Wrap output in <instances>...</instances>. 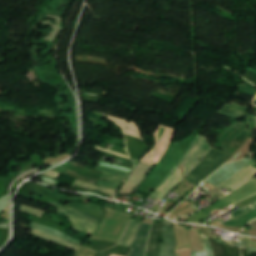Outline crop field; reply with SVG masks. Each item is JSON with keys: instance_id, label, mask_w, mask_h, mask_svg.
Here are the masks:
<instances>
[{"instance_id": "ac0d7876", "label": "crop field", "mask_w": 256, "mask_h": 256, "mask_svg": "<svg viewBox=\"0 0 256 256\" xmlns=\"http://www.w3.org/2000/svg\"><path fill=\"white\" fill-rule=\"evenodd\" d=\"M173 132L174 131H172V128H168L160 125L158 130L155 133L156 143L154 145L152 152L150 154L148 153L142 159L141 162H145L153 165L158 163L171 141Z\"/></svg>"}, {"instance_id": "733c2abd", "label": "crop field", "mask_w": 256, "mask_h": 256, "mask_svg": "<svg viewBox=\"0 0 256 256\" xmlns=\"http://www.w3.org/2000/svg\"><path fill=\"white\" fill-rule=\"evenodd\" d=\"M74 186H78V187H81V188H85V189H88V190H95L97 192H103L105 194H108L110 196H114L116 190L114 189H109V188H104V187H97V186H94V185H91V184H88V183H85V182H81V181H78L76 180V182L74 183Z\"/></svg>"}, {"instance_id": "34b2d1b8", "label": "crop field", "mask_w": 256, "mask_h": 256, "mask_svg": "<svg viewBox=\"0 0 256 256\" xmlns=\"http://www.w3.org/2000/svg\"><path fill=\"white\" fill-rule=\"evenodd\" d=\"M212 149L209 142L205 138L200 137L189 155L182 162L184 166L183 174L187 175L194 167L200 164ZM200 159H202V161H199Z\"/></svg>"}, {"instance_id": "dafd665d", "label": "crop field", "mask_w": 256, "mask_h": 256, "mask_svg": "<svg viewBox=\"0 0 256 256\" xmlns=\"http://www.w3.org/2000/svg\"><path fill=\"white\" fill-rule=\"evenodd\" d=\"M20 210L24 211V212H27V213H30V214H33V215L40 216V217L44 213L43 211L35 210V209L24 207V206H21Z\"/></svg>"}, {"instance_id": "d8731c3e", "label": "crop field", "mask_w": 256, "mask_h": 256, "mask_svg": "<svg viewBox=\"0 0 256 256\" xmlns=\"http://www.w3.org/2000/svg\"><path fill=\"white\" fill-rule=\"evenodd\" d=\"M175 238L173 235L172 224L163 221V245L161 256H174Z\"/></svg>"}, {"instance_id": "730fd06b", "label": "crop field", "mask_w": 256, "mask_h": 256, "mask_svg": "<svg viewBox=\"0 0 256 256\" xmlns=\"http://www.w3.org/2000/svg\"><path fill=\"white\" fill-rule=\"evenodd\" d=\"M199 138V134L196 137V139L194 140L193 144L191 145V147L194 145V143L197 141V139ZM191 147L188 149V151L191 149ZM188 151L184 154V156L182 157L181 161L183 160V158L186 156V154L188 153ZM181 161L174 167V169L169 173V175L159 184V186L176 170V168L179 166V164L181 163ZM158 186V187H159Z\"/></svg>"}, {"instance_id": "eef30255", "label": "crop field", "mask_w": 256, "mask_h": 256, "mask_svg": "<svg viewBox=\"0 0 256 256\" xmlns=\"http://www.w3.org/2000/svg\"><path fill=\"white\" fill-rule=\"evenodd\" d=\"M114 248H115V247H114ZM114 248H112V249H110V250H107V251H105V252H103V253H97L96 256H110Z\"/></svg>"}, {"instance_id": "e52e79f7", "label": "crop field", "mask_w": 256, "mask_h": 256, "mask_svg": "<svg viewBox=\"0 0 256 256\" xmlns=\"http://www.w3.org/2000/svg\"><path fill=\"white\" fill-rule=\"evenodd\" d=\"M162 223H153L145 256H160Z\"/></svg>"}, {"instance_id": "d1516ede", "label": "crop field", "mask_w": 256, "mask_h": 256, "mask_svg": "<svg viewBox=\"0 0 256 256\" xmlns=\"http://www.w3.org/2000/svg\"><path fill=\"white\" fill-rule=\"evenodd\" d=\"M108 117L111 120H114L116 124L121 126L124 129L126 134L136 136V137L142 139L141 132L135 123H133L131 121L129 123H127V121H129V120H125V119H121V118H117V117H113V116H109V115H108ZM125 127H128L131 130H127Z\"/></svg>"}, {"instance_id": "412701ff", "label": "crop field", "mask_w": 256, "mask_h": 256, "mask_svg": "<svg viewBox=\"0 0 256 256\" xmlns=\"http://www.w3.org/2000/svg\"><path fill=\"white\" fill-rule=\"evenodd\" d=\"M250 162L251 160L244 159L242 161L225 164L209 179H207L206 182L217 187L225 180H227L229 177H231L232 175L240 171L242 168H244Z\"/></svg>"}, {"instance_id": "3316defc", "label": "crop field", "mask_w": 256, "mask_h": 256, "mask_svg": "<svg viewBox=\"0 0 256 256\" xmlns=\"http://www.w3.org/2000/svg\"><path fill=\"white\" fill-rule=\"evenodd\" d=\"M58 209V208H57ZM59 212H62L66 214L67 217H69L73 228L78 229L80 231L86 232L91 234V232L94 230V228L97 226V223L90 222L87 220H84L82 218H79L75 215H72L62 209H58Z\"/></svg>"}, {"instance_id": "120bbe31", "label": "crop field", "mask_w": 256, "mask_h": 256, "mask_svg": "<svg viewBox=\"0 0 256 256\" xmlns=\"http://www.w3.org/2000/svg\"><path fill=\"white\" fill-rule=\"evenodd\" d=\"M250 242L256 244L255 242H252V241H250Z\"/></svg>"}, {"instance_id": "d3111659", "label": "crop field", "mask_w": 256, "mask_h": 256, "mask_svg": "<svg viewBox=\"0 0 256 256\" xmlns=\"http://www.w3.org/2000/svg\"><path fill=\"white\" fill-rule=\"evenodd\" d=\"M41 177H43V176H41ZM42 181L46 182V183L53 184V185H55V183H56V181H54V180H52L50 178H47V177H43Z\"/></svg>"}, {"instance_id": "bc2a9ffb", "label": "crop field", "mask_w": 256, "mask_h": 256, "mask_svg": "<svg viewBox=\"0 0 256 256\" xmlns=\"http://www.w3.org/2000/svg\"><path fill=\"white\" fill-rule=\"evenodd\" d=\"M205 251L192 253V256H213V251L210 247L208 238L202 235Z\"/></svg>"}, {"instance_id": "4177f3b9", "label": "crop field", "mask_w": 256, "mask_h": 256, "mask_svg": "<svg viewBox=\"0 0 256 256\" xmlns=\"http://www.w3.org/2000/svg\"><path fill=\"white\" fill-rule=\"evenodd\" d=\"M98 186H105V187H110V188H114V189H117L120 187L119 184H115V183H111V182H107V181H103V180H100V182L98 183Z\"/></svg>"}, {"instance_id": "750c4746", "label": "crop field", "mask_w": 256, "mask_h": 256, "mask_svg": "<svg viewBox=\"0 0 256 256\" xmlns=\"http://www.w3.org/2000/svg\"><path fill=\"white\" fill-rule=\"evenodd\" d=\"M42 175L51 176V177H53V178L56 179L59 174H58V173L51 172V171H48V172H46V173H44V174H42Z\"/></svg>"}, {"instance_id": "f4fd0767", "label": "crop field", "mask_w": 256, "mask_h": 256, "mask_svg": "<svg viewBox=\"0 0 256 256\" xmlns=\"http://www.w3.org/2000/svg\"><path fill=\"white\" fill-rule=\"evenodd\" d=\"M151 220L145 219L128 256H144Z\"/></svg>"}, {"instance_id": "22f410ed", "label": "crop field", "mask_w": 256, "mask_h": 256, "mask_svg": "<svg viewBox=\"0 0 256 256\" xmlns=\"http://www.w3.org/2000/svg\"><path fill=\"white\" fill-rule=\"evenodd\" d=\"M140 225L141 222L131 220L125 234L123 235L118 245L130 246Z\"/></svg>"}, {"instance_id": "cbeb9de0", "label": "crop field", "mask_w": 256, "mask_h": 256, "mask_svg": "<svg viewBox=\"0 0 256 256\" xmlns=\"http://www.w3.org/2000/svg\"><path fill=\"white\" fill-rule=\"evenodd\" d=\"M31 234L34 235V236L40 237L42 239H45V240H48V241H51V242L69 247V248H73V249H76V250H78L80 248V246L74 245L72 243L66 242L64 240L58 239L56 237L50 236L48 234L39 232V231L34 230V229H32Z\"/></svg>"}, {"instance_id": "bd1437ed", "label": "crop field", "mask_w": 256, "mask_h": 256, "mask_svg": "<svg viewBox=\"0 0 256 256\" xmlns=\"http://www.w3.org/2000/svg\"><path fill=\"white\" fill-rule=\"evenodd\" d=\"M246 208H247L249 211L256 209V202L253 203V204H251V205L246 206Z\"/></svg>"}, {"instance_id": "dd49c442", "label": "crop field", "mask_w": 256, "mask_h": 256, "mask_svg": "<svg viewBox=\"0 0 256 256\" xmlns=\"http://www.w3.org/2000/svg\"><path fill=\"white\" fill-rule=\"evenodd\" d=\"M256 175V168L249 165L242 169L240 172H238L236 175H234L232 178H230L228 181H226L224 184H222L217 189H221L224 186L230 188V189H236L240 187L241 185L248 182L250 179L254 178Z\"/></svg>"}, {"instance_id": "8a807250", "label": "crop field", "mask_w": 256, "mask_h": 256, "mask_svg": "<svg viewBox=\"0 0 256 256\" xmlns=\"http://www.w3.org/2000/svg\"><path fill=\"white\" fill-rule=\"evenodd\" d=\"M229 156L231 154L220 152L214 148L204 162L195 168L186 178L199 185L204 179L221 167Z\"/></svg>"}, {"instance_id": "1d83c4d3", "label": "crop field", "mask_w": 256, "mask_h": 256, "mask_svg": "<svg viewBox=\"0 0 256 256\" xmlns=\"http://www.w3.org/2000/svg\"><path fill=\"white\" fill-rule=\"evenodd\" d=\"M71 242H74V243H77V244H82V241H80V240H78V239H75V238H73L72 237V239H71Z\"/></svg>"}, {"instance_id": "00972430", "label": "crop field", "mask_w": 256, "mask_h": 256, "mask_svg": "<svg viewBox=\"0 0 256 256\" xmlns=\"http://www.w3.org/2000/svg\"><path fill=\"white\" fill-rule=\"evenodd\" d=\"M98 171H102V172H107V173H112V174H116V175H120V176H124L127 177V173H123V172H119V171H115V170H111V169H107V168H103V167H97Z\"/></svg>"}, {"instance_id": "ae1a2a85", "label": "crop field", "mask_w": 256, "mask_h": 256, "mask_svg": "<svg viewBox=\"0 0 256 256\" xmlns=\"http://www.w3.org/2000/svg\"><path fill=\"white\" fill-rule=\"evenodd\" d=\"M95 148L100 149V150H103V151H106V152H109V153H112V154H115V155H118V156H121V157H124V158H127V159H130V158L127 157V156L121 155V154L116 153V152H113V151H109V150H106V149H101V148H99V147H97V146H95Z\"/></svg>"}, {"instance_id": "a9b5d70f", "label": "crop field", "mask_w": 256, "mask_h": 256, "mask_svg": "<svg viewBox=\"0 0 256 256\" xmlns=\"http://www.w3.org/2000/svg\"><path fill=\"white\" fill-rule=\"evenodd\" d=\"M95 254H96V252H92L86 248L81 247L78 250L76 256H94Z\"/></svg>"}, {"instance_id": "28ad6ade", "label": "crop field", "mask_w": 256, "mask_h": 256, "mask_svg": "<svg viewBox=\"0 0 256 256\" xmlns=\"http://www.w3.org/2000/svg\"><path fill=\"white\" fill-rule=\"evenodd\" d=\"M248 110H249V108H242L235 104H232V105L226 104L224 106V108L222 110L218 111L217 113L227 116L231 119L237 120V119L243 117L247 113Z\"/></svg>"}, {"instance_id": "92a150f3", "label": "crop field", "mask_w": 256, "mask_h": 256, "mask_svg": "<svg viewBox=\"0 0 256 256\" xmlns=\"http://www.w3.org/2000/svg\"><path fill=\"white\" fill-rule=\"evenodd\" d=\"M242 81L246 82L247 84L239 85V89L244 92L254 93L256 94V88L251 83L243 79Z\"/></svg>"}, {"instance_id": "d32e631a", "label": "crop field", "mask_w": 256, "mask_h": 256, "mask_svg": "<svg viewBox=\"0 0 256 256\" xmlns=\"http://www.w3.org/2000/svg\"><path fill=\"white\" fill-rule=\"evenodd\" d=\"M111 256H114V255H111Z\"/></svg>"}, {"instance_id": "5142ce71", "label": "crop field", "mask_w": 256, "mask_h": 256, "mask_svg": "<svg viewBox=\"0 0 256 256\" xmlns=\"http://www.w3.org/2000/svg\"><path fill=\"white\" fill-rule=\"evenodd\" d=\"M48 202L51 203L52 205H54L55 207H59V208L68 210V211H70V212H72V213H74V214H76V215H78V216H80V217L87 218V219L92 220V221H95V222H97V223H99L100 220H101V218L92 216V215H90V214H88V213H85V212L79 210V209H75V208H72V207L64 206V205H62V204H59V203H57V202L50 201V200H48Z\"/></svg>"}, {"instance_id": "5a996713", "label": "crop field", "mask_w": 256, "mask_h": 256, "mask_svg": "<svg viewBox=\"0 0 256 256\" xmlns=\"http://www.w3.org/2000/svg\"><path fill=\"white\" fill-rule=\"evenodd\" d=\"M182 181L180 169L173 173V175L160 187L158 188L150 197L153 199H163V197L168 194L174 187H176Z\"/></svg>"}, {"instance_id": "d9b57169", "label": "crop field", "mask_w": 256, "mask_h": 256, "mask_svg": "<svg viewBox=\"0 0 256 256\" xmlns=\"http://www.w3.org/2000/svg\"><path fill=\"white\" fill-rule=\"evenodd\" d=\"M253 219H256V210L248 212L234 220L222 223V225L237 226L243 222L246 224L247 222H249ZM245 224H242L239 227H244Z\"/></svg>"}, {"instance_id": "214f88e0", "label": "crop field", "mask_w": 256, "mask_h": 256, "mask_svg": "<svg viewBox=\"0 0 256 256\" xmlns=\"http://www.w3.org/2000/svg\"><path fill=\"white\" fill-rule=\"evenodd\" d=\"M101 179L116 182V183H120V184H122L123 181L125 180V178H123V177H119V176L111 175V174H106V173H104V175L102 176Z\"/></svg>"}, {"instance_id": "4a817a6b", "label": "crop field", "mask_w": 256, "mask_h": 256, "mask_svg": "<svg viewBox=\"0 0 256 256\" xmlns=\"http://www.w3.org/2000/svg\"><path fill=\"white\" fill-rule=\"evenodd\" d=\"M30 227L34 228V229H37L39 231L48 233L50 235H53V236H56V237L68 240V241H69V238H70L69 236L65 235L64 233H62L60 231H57V230H54V229H51V228H48V227H45V226L33 223V222L31 223Z\"/></svg>"}]
</instances>
